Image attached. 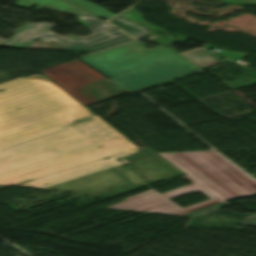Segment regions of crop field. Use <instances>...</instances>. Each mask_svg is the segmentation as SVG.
I'll use <instances>...</instances> for the list:
<instances>
[{
    "mask_svg": "<svg viewBox=\"0 0 256 256\" xmlns=\"http://www.w3.org/2000/svg\"><path fill=\"white\" fill-rule=\"evenodd\" d=\"M181 172L192 184L165 193L151 189L135 194L108 208L136 210L184 216L226 200L256 195V180L215 151L159 154ZM201 191L212 199L180 208L169 199Z\"/></svg>",
    "mask_w": 256,
    "mask_h": 256,
    "instance_id": "8a807250",
    "label": "crop field"
},
{
    "mask_svg": "<svg viewBox=\"0 0 256 256\" xmlns=\"http://www.w3.org/2000/svg\"><path fill=\"white\" fill-rule=\"evenodd\" d=\"M152 156L161 160L160 162H163V164L152 158ZM152 156L145 153H138L119 158V160L129 169L133 170L132 172L148 185L183 175L157 154H152ZM163 165H166L167 167ZM167 168L176 172L178 175H175ZM15 186L36 187L108 196H114L138 188L104 159Z\"/></svg>",
    "mask_w": 256,
    "mask_h": 256,
    "instance_id": "ac0d7876",
    "label": "crop field"
},
{
    "mask_svg": "<svg viewBox=\"0 0 256 256\" xmlns=\"http://www.w3.org/2000/svg\"><path fill=\"white\" fill-rule=\"evenodd\" d=\"M81 60L131 92L200 70L171 49L136 41Z\"/></svg>",
    "mask_w": 256,
    "mask_h": 256,
    "instance_id": "34b2d1b8",
    "label": "crop field"
},
{
    "mask_svg": "<svg viewBox=\"0 0 256 256\" xmlns=\"http://www.w3.org/2000/svg\"><path fill=\"white\" fill-rule=\"evenodd\" d=\"M134 153L138 152L0 147V184L14 185L104 158L140 187L146 183L116 160Z\"/></svg>",
    "mask_w": 256,
    "mask_h": 256,
    "instance_id": "412701ff",
    "label": "crop field"
},
{
    "mask_svg": "<svg viewBox=\"0 0 256 256\" xmlns=\"http://www.w3.org/2000/svg\"><path fill=\"white\" fill-rule=\"evenodd\" d=\"M79 23L86 26L93 35L88 38L74 37L69 35L67 37H60L48 31L54 25L40 22L39 24H26L15 31L17 34L6 41L3 45L11 48H24L37 37L46 42L53 40L57 43L67 44L64 50L75 51H97L114 45L131 40L126 35L118 30L102 23L101 21L84 16H78ZM47 36L52 38L48 39Z\"/></svg>",
    "mask_w": 256,
    "mask_h": 256,
    "instance_id": "f4fd0767",
    "label": "crop field"
},
{
    "mask_svg": "<svg viewBox=\"0 0 256 256\" xmlns=\"http://www.w3.org/2000/svg\"><path fill=\"white\" fill-rule=\"evenodd\" d=\"M15 5L19 7H30L32 5H35L37 7L43 6L45 8L56 10L59 12L90 16L63 0H19L16 2Z\"/></svg>",
    "mask_w": 256,
    "mask_h": 256,
    "instance_id": "dd49c442",
    "label": "crop field"
},
{
    "mask_svg": "<svg viewBox=\"0 0 256 256\" xmlns=\"http://www.w3.org/2000/svg\"><path fill=\"white\" fill-rule=\"evenodd\" d=\"M183 55L202 69L217 64L216 60L219 58H222L221 56L215 53L208 52L201 49H198Z\"/></svg>",
    "mask_w": 256,
    "mask_h": 256,
    "instance_id": "e52e79f7",
    "label": "crop field"
},
{
    "mask_svg": "<svg viewBox=\"0 0 256 256\" xmlns=\"http://www.w3.org/2000/svg\"><path fill=\"white\" fill-rule=\"evenodd\" d=\"M86 86L105 98L127 92L125 89L121 88L109 79L89 84Z\"/></svg>",
    "mask_w": 256,
    "mask_h": 256,
    "instance_id": "d8731c3e",
    "label": "crop field"
},
{
    "mask_svg": "<svg viewBox=\"0 0 256 256\" xmlns=\"http://www.w3.org/2000/svg\"><path fill=\"white\" fill-rule=\"evenodd\" d=\"M109 23L116 26L117 28L121 29L125 33L129 34L133 38H138L142 34L149 31V29L142 27L140 25H137L133 22H130L128 20H125L123 18H120L116 16L113 20H111Z\"/></svg>",
    "mask_w": 256,
    "mask_h": 256,
    "instance_id": "5a996713",
    "label": "crop field"
},
{
    "mask_svg": "<svg viewBox=\"0 0 256 256\" xmlns=\"http://www.w3.org/2000/svg\"><path fill=\"white\" fill-rule=\"evenodd\" d=\"M69 3L79 7L80 9L96 16V17H103L109 19L111 16L115 15L99 6L90 4L84 0H66Z\"/></svg>",
    "mask_w": 256,
    "mask_h": 256,
    "instance_id": "3316defc",
    "label": "crop field"
},
{
    "mask_svg": "<svg viewBox=\"0 0 256 256\" xmlns=\"http://www.w3.org/2000/svg\"><path fill=\"white\" fill-rule=\"evenodd\" d=\"M222 206H225L224 203H218V204L215 205V206H212V207H209V208H205V209H202V210H199V211H196V212L187 214V215H185V216L191 217L192 215H198V214H201V213H204V212H207V211H210V210H213V209L222 207Z\"/></svg>",
    "mask_w": 256,
    "mask_h": 256,
    "instance_id": "28ad6ade",
    "label": "crop field"
},
{
    "mask_svg": "<svg viewBox=\"0 0 256 256\" xmlns=\"http://www.w3.org/2000/svg\"><path fill=\"white\" fill-rule=\"evenodd\" d=\"M240 224L256 226V216H254V215L248 216L245 219H243Z\"/></svg>",
    "mask_w": 256,
    "mask_h": 256,
    "instance_id": "d1516ede",
    "label": "crop field"
}]
</instances>
